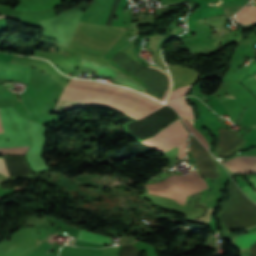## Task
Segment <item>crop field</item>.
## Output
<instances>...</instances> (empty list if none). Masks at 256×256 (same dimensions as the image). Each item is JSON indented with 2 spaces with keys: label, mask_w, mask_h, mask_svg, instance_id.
<instances>
[{
  "label": "crop field",
  "mask_w": 256,
  "mask_h": 256,
  "mask_svg": "<svg viewBox=\"0 0 256 256\" xmlns=\"http://www.w3.org/2000/svg\"><path fill=\"white\" fill-rule=\"evenodd\" d=\"M230 199L221 203L220 217L230 231L256 226V206L249 202L232 181L228 186Z\"/></svg>",
  "instance_id": "obj_2"
},
{
  "label": "crop field",
  "mask_w": 256,
  "mask_h": 256,
  "mask_svg": "<svg viewBox=\"0 0 256 256\" xmlns=\"http://www.w3.org/2000/svg\"><path fill=\"white\" fill-rule=\"evenodd\" d=\"M189 148L197 163L199 174L207 178H218V169L208 151L194 138L190 137Z\"/></svg>",
  "instance_id": "obj_5"
},
{
  "label": "crop field",
  "mask_w": 256,
  "mask_h": 256,
  "mask_svg": "<svg viewBox=\"0 0 256 256\" xmlns=\"http://www.w3.org/2000/svg\"><path fill=\"white\" fill-rule=\"evenodd\" d=\"M250 253L252 256H256V245L250 249Z\"/></svg>",
  "instance_id": "obj_19"
},
{
  "label": "crop field",
  "mask_w": 256,
  "mask_h": 256,
  "mask_svg": "<svg viewBox=\"0 0 256 256\" xmlns=\"http://www.w3.org/2000/svg\"><path fill=\"white\" fill-rule=\"evenodd\" d=\"M219 143L216 147V151L220 156H229L234 151L241 149L245 140L239 138L237 135L231 133L225 128L217 130Z\"/></svg>",
  "instance_id": "obj_7"
},
{
  "label": "crop field",
  "mask_w": 256,
  "mask_h": 256,
  "mask_svg": "<svg viewBox=\"0 0 256 256\" xmlns=\"http://www.w3.org/2000/svg\"><path fill=\"white\" fill-rule=\"evenodd\" d=\"M28 147L0 148V154H25Z\"/></svg>",
  "instance_id": "obj_15"
},
{
  "label": "crop field",
  "mask_w": 256,
  "mask_h": 256,
  "mask_svg": "<svg viewBox=\"0 0 256 256\" xmlns=\"http://www.w3.org/2000/svg\"><path fill=\"white\" fill-rule=\"evenodd\" d=\"M0 132H3V130H2V126H1V123H0Z\"/></svg>",
  "instance_id": "obj_20"
},
{
  "label": "crop field",
  "mask_w": 256,
  "mask_h": 256,
  "mask_svg": "<svg viewBox=\"0 0 256 256\" xmlns=\"http://www.w3.org/2000/svg\"><path fill=\"white\" fill-rule=\"evenodd\" d=\"M184 120V122L186 123V125L188 126V128L200 139V141L207 147L209 148L205 138L201 135V133L199 131H197L194 127H193V121L187 119V118H182Z\"/></svg>",
  "instance_id": "obj_14"
},
{
  "label": "crop field",
  "mask_w": 256,
  "mask_h": 256,
  "mask_svg": "<svg viewBox=\"0 0 256 256\" xmlns=\"http://www.w3.org/2000/svg\"><path fill=\"white\" fill-rule=\"evenodd\" d=\"M71 83H78V84H85V85H91V86H96V87H102V88H108V89H113V90H117V91H121V92H125V93H129L135 96H138L158 107H162L164 106V104L157 102L155 100H152L148 97H145L135 91H132L130 89H126V88H121V87H115V86H111V85H107V84H100L97 82H90V81H82V80H74L72 79L70 81ZM62 94H67V95H75V96H83V97H91V98H97V99H103V100H108V101H112V102H116L122 105H125L145 116L151 114L152 112H154L155 110L139 103L136 102L132 99L129 98H125L122 96H118V95H114V94H110V93H103V92H96V91H92V90H85V89H76V88H69L66 87L65 90L63 91ZM67 95H61L60 99L57 103V106L55 108V113L57 112H61V111H65V110H69V109H73L76 107H80L82 105H86V104H95V105H102V106H108V107H112L114 109H117L119 111H122L136 119H141L145 116L116 103H112V102H107V101H103V100H97V99H91V98H83V97H75V96H67Z\"/></svg>",
  "instance_id": "obj_1"
},
{
  "label": "crop field",
  "mask_w": 256,
  "mask_h": 256,
  "mask_svg": "<svg viewBox=\"0 0 256 256\" xmlns=\"http://www.w3.org/2000/svg\"><path fill=\"white\" fill-rule=\"evenodd\" d=\"M256 241V232L236 236L232 243L239 249L251 246Z\"/></svg>",
  "instance_id": "obj_11"
},
{
  "label": "crop field",
  "mask_w": 256,
  "mask_h": 256,
  "mask_svg": "<svg viewBox=\"0 0 256 256\" xmlns=\"http://www.w3.org/2000/svg\"><path fill=\"white\" fill-rule=\"evenodd\" d=\"M254 188H255V190H256V177L255 176H253V177H251V178H249L248 180H247ZM242 188V187H241ZM246 191H247V193L256 201V191L254 192L250 187H249V185H247V186H244L243 187ZM242 188V190L244 191V193L253 201V202H255L246 192H245V190ZM256 203V202H255Z\"/></svg>",
  "instance_id": "obj_13"
},
{
  "label": "crop field",
  "mask_w": 256,
  "mask_h": 256,
  "mask_svg": "<svg viewBox=\"0 0 256 256\" xmlns=\"http://www.w3.org/2000/svg\"><path fill=\"white\" fill-rule=\"evenodd\" d=\"M61 252L70 253L74 255H82V256H102V249L97 250V249L74 248L70 246H64ZM59 256H73V255L60 253Z\"/></svg>",
  "instance_id": "obj_10"
},
{
  "label": "crop field",
  "mask_w": 256,
  "mask_h": 256,
  "mask_svg": "<svg viewBox=\"0 0 256 256\" xmlns=\"http://www.w3.org/2000/svg\"><path fill=\"white\" fill-rule=\"evenodd\" d=\"M30 66L0 61V79H16L24 83L29 81Z\"/></svg>",
  "instance_id": "obj_8"
},
{
  "label": "crop field",
  "mask_w": 256,
  "mask_h": 256,
  "mask_svg": "<svg viewBox=\"0 0 256 256\" xmlns=\"http://www.w3.org/2000/svg\"><path fill=\"white\" fill-rule=\"evenodd\" d=\"M80 68L96 70L95 74H97V75H104V76L112 77V78L118 80L123 85L131 86V87L141 90L143 92L145 90V88L136 84L132 80L126 78L121 73H119L105 65H102L100 63L83 58L81 61V64H80Z\"/></svg>",
  "instance_id": "obj_6"
},
{
  "label": "crop field",
  "mask_w": 256,
  "mask_h": 256,
  "mask_svg": "<svg viewBox=\"0 0 256 256\" xmlns=\"http://www.w3.org/2000/svg\"><path fill=\"white\" fill-rule=\"evenodd\" d=\"M223 164L232 172L256 173V157L238 156Z\"/></svg>",
  "instance_id": "obj_9"
},
{
  "label": "crop field",
  "mask_w": 256,
  "mask_h": 256,
  "mask_svg": "<svg viewBox=\"0 0 256 256\" xmlns=\"http://www.w3.org/2000/svg\"><path fill=\"white\" fill-rule=\"evenodd\" d=\"M187 135V130L181 124L180 120L177 119L159 133L142 141V143L147 144L162 153L178 146V157L184 159Z\"/></svg>",
  "instance_id": "obj_4"
},
{
  "label": "crop field",
  "mask_w": 256,
  "mask_h": 256,
  "mask_svg": "<svg viewBox=\"0 0 256 256\" xmlns=\"http://www.w3.org/2000/svg\"><path fill=\"white\" fill-rule=\"evenodd\" d=\"M0 171L3 172L4 174H6V169H5L3 158H0Z\"/></svg>",
  "instance_id": "obj_18"
},
{
  "label": "crop field",
  "mask_w": 256,
  "mask_h": 256,
  "mask_svg": "<svg viewBox=\"0 0 256 256\" xmlns=\"http://www.w3.org/2000/svg\"><path fill=\"white\" fill-rule=\"evenodd\" d=\"M191 174L180 176L173 175L156 184L147 185L150 194L171 198L185 204V195L197 193L207 188V184L198 175L196 170Z\"/></svg>",
  "instance_id": "obj_3"
},
{
  "label": "crop field",
  "mask_w": 256,
  "mask_h": 256,
  "mask_svg": "<svg viewBox=\"0 0 256 256\" xmlns=\"http://www.w3.org/2000/svg\"><path fill=\"white\" fill-rule=\"evenodd\" d=\"M241 83L247 86L256 95V79L254 76L244 80Z\"/></svg>",
  "instance_id": "obj_16"
},
{
  "label": "crop field",
  "mask_w": 256,
  "mask_h": 256,
  "mask_svg": "<svg viewBox=\"0 0 256 256\" xmlns=\"http://www.w3.org/2000/svg\"><path fill=\"white\" fill-rule=\"evenodd\" d=\"M213 209L212 208H208V212L205 216L200 217L198 219H190L189 221H195V222H199V223H206L210 221V214L212 213Z\"/></svg>",
  "instance_id": "obj_17"
},
{
  "label": "crop field",
  "mask_w": 256,
  "mask_h": 256,
  "mask_svg": "<svg viewBox=\"0 0 256 256\" xmlns=\"http://www.w3.org/2000/svg\"><path fill=\"white\" fill-rule=\"evenodd\" d=\"M78 238L88 242L100 243V244H109V241H110V238L108 237L100 236V235L89 233L82 230L80 231Z\"/></svg>",
  "instance_id": "obj_12"
}]
</instances>
